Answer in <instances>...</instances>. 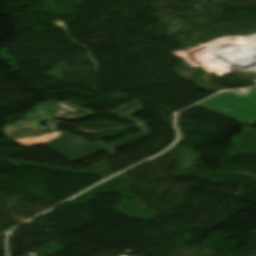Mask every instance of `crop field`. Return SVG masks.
I'll return each mask as SVG.
<instances>
[{"label":"crop field","mask_w":256,"mask_h":256,"mask_svg":"<svg viewBox=\"0 0 256 256\" xmlns=\"http://www.w3.org/2000/svg\"><path fill=\"white\" fill-rule=\"evenodd\" d=\"M28 117L33 120L22 121L15 125H6L3 130L6 131L7 135L25 147L44 144L74 162H79L102 150L112 155L117 154L114 151L150 135L148 128L145 125H141L138 126L142 131L141 133L135 136L127 135L105 146L101 143L92 144L86 142L65 131L48 130L45 133L39 124L47 120L46 118L38 119L32 115Z\"/></svg>","instance_id":"crop-field-1"},{"label":"crop field","mask_w":256,"mask_h":256,"mask_svg":"<svg viewBox=\"0 0 256 256\" xmlns=\"http://www.w3.org/2000/svg\"><path fill=\"white\" fill-rule=\"evenodd\" d=\"M199 105L247 125L256 122V88L222 93Z\"/></svg>","instance_id":"crop-field-2"},{"label":"crop field","mask_w":256,"mask_h":256,"mask_svg":"<svg viewBox=\"0 0 256 256\" xmlns=\"http://www.w3.org/2000/svg\"><path fill=\"white\" fill-rule=\"evenodd\" d=\"M105 110V109H104ZM142 107H141V103L140 101L136 100L130 104H127L113 112L109 111V114L115 115L117 117L123 118V119H127V120H131L134 121L136 123H142V121L132 118L130 117L131 115H134L140 111H142Z\"/></svg>","instance_id":"crop-field-4"},{"label":"crop field","mask_w":256,"mask_h":256,"mask_svg":"<svg viewBox=\"0 0 256 256\" xmlns=\"http://www.w3.org/2000/svg\"><path fill=\"white\" fill-rule=\"evenodd\" d=\"M31 110L48 113L45 116L49 119L56 118L67 121L81 119L94 114L87 109H81L68 102L42 103L36 107L31 108Z\"/></svg>","instance_id":"crop-field-3"}]
</instances>
